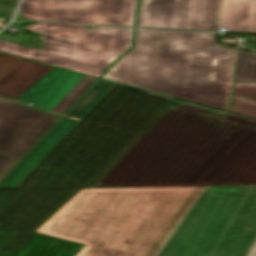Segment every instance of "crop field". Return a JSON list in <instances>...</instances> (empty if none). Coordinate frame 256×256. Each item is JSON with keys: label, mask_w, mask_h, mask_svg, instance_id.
I'll list each match as a JSON object with an SVG mask.
<instances>
[{"label": "crop field", "mask_w": 256, "mask_h": 256, "mask_svg": "<svg viewBox=\"0 0 256 256\" xmlns=\"http://www.w3.org/2000/svg\"><path fill=\"white\" fill-rule=\"evenodd\" d=\"M83 97L70 112L0 183V189L16 188L98 105Z\"/></svg>", "instance_id": "obj_8"}, {"label": "crop field", "mask_w": 256, "mask_h": 256, "mask_svg": "<svg viewBox=\"0 0 256 256\" xmlns=\"http://www.w3.org/2000/svg\"><path fill=\"white\" fill-rule=\"evenodd\" d=\"M233 94L256 100V83H235Z\"/></svg>", "instance_id": "obj_13"}, {"label": "crop field", "mask_w": 256, "mask_h": 256, "mask_svg": "<svg viewBox=\"0 0 256 256\" xmlns=\"http://www.w3.org/2000/svg\"><path fill=\"white\" fill-rule=\"evenodd\" d=\"M221 0H140L137 27L217 30Z\"/></svg>", "instance_id": "obj_6"}, {"label": "crop field", "mask_w": 256, "mask_h": 256, "mask_svg": "<svg viewBox=\"0 0 256 256\" xmlns=\"http://www.w3.org/2000/svg\"><path fill=\"white\" fill-rule=\"evenodd\" d=\"M246 256H256V239L253 242L252 246L250 247L248 253L246 254Z\"/></svg>", "instance_id": "obj_16"}, {"label": "crop field", "mask_w": 256, "mask_h": 256, "mask_svg": "<svg viewBox=\"0 0 256 256\" xmlns=\"http://www.w3.org/2000/svg\"><path fill=\"white\" fill-rule=\"evenodd\" d=\"M234 81H256V54L238 50Z\"/></svg>", "instance_id": "obj_10"}, {"label": "crop field", "mask_w": 256, "mask_h": 256, "mask_svg": "<svg viewBox=\"0 0 256 256\" xmlns=\"http://www.w3.org/2000/svg\"><path fill=\"white\" fill-rule=\"evenodd\" d=\"M40 23L26 29L44 34L43 51L0 40V52L100 78L131 48L134 29Z\"/></svg>", "instance_id": "obj_3"}, {"label": "crop field", "mask_w": 256, "mask_h": 256, "mask_svg": "<svg viewBox=\"0 0 256 256\" xmlns=\"http://www.w3.org/2000/svg\"><path fill=\"white\" fill-rule=\"evenodd\" d=\"M218 28L256 33V0H222Z\"/></svg>", "instance_id": "obj_9"}, {"label": "crop field", "mask_w": 256, "mask_h": 256, "mask_svg": "<svg viewBox=\"0 0 256 256\" xmlns=\"http://www.w3.org/2000/svg\"><path fill=\"white\" fill-rule=\"evenodd\" d=\"M116 86L117 84L100 80L85 97L102 102Z\"/></svg>", "instance_id": "obj_12"}, {"label": "crop field", "mask_w": 256, "mask_h": 256, "mask_svg": "<svg viewBox=\"0 0 256 256\" xmlns=\"http://www.w3.org/2000/svg\"><path fill=\"white\" fill-rule=\"evenodd\" d=\"M137 0H23L28 21L134 27Z\"/></svg>", "instance_id": "obj_5"}, {"label": "crop field", "mask_w": 256, "mask_h": 256, "mask_svg": "<svg viewBox=\"0 0 256 256\" xmlns=\"http://www.w3.org/2000/svg\"><path fill=\"white\" fill-rule=\"evenodd\" d=\"M37 232L86 244L76 256H244L256 186L84 189Z\"/></svg>", "instance_id": "obj_1"}, {"label": "crop field", "mask_w": 256, "mask_h": 256, "mask_svg": "<svg viewBox=\"0 0 256 256\" xmlns=\"http://www.w3.org/2000/svg\"><path fill=\"white\" fill-rule=\"evenodd\" d=\"M58 119L0 99V151L20 159Z\"/></svg>", "instance_id": "obj_7"}, {"label": "crop field", "mask_w": 256, "mask_h": 256, "mask_svg": "<svg viewBox=\"0 0 256 256\" xmlns=\"http://www.w3.org/2000/svg\"><path fill=\"white\" fill-rule=\"evenodd\" d=\"M19 160L0 152V179L18 162Z\"/></svg>", "instance_id": "obj_14"}, {"label": "crop field", "mask_w": 256, "mask_h": 256, "mask_svg": "<svg viewBox=\"0 0 256 256\" xmlns=\"http://www.w3.org/2000/svg\"><path fill=\"white\" fill-rule=\"evenodd\" d=\"M230 112L256 119V101L233 95Z\"/></svg>", "instance_id": "obj_11"}, {"label": "crop field", "mask_w": 256, "mask_h": 256, "mask_svg": "<svg viewBox=\"0 0 256 256\" xmlns=\"http://www.w3.org/2000/svg\"><path fill=\"white\" fill-rule=\"evenodd\" d=\"M233 53L214 34L137 29L103 78L225 111Z\"/></svg>", "instance_id": "obj_2"}, {"label": "crop field", "mask_w": 256, "mask_h": 256, "mask_svg": "<svg viewBox=\"0 0 256 256\" xmlns=\"http://www.w3.org/2000/svg\"><path fill=\"white\" fill-rule=\"evenodd\" d=\"M17 59L18 57L0 53V73L4 71L9 65H11Z\"/></svg>", "instance_id": "obj_15"}, {"label": "crop field", "mask_w": 256, "mask_h": 256, "mask_svg": "<svg viewBox=\"0 0 256 256\" xmlns=\"http://www.w3.org/2000/svg\"><path fill=\"white\" fill-rule=\"evenodd\" d=\"M96 80L19 58L0 74V97L62 116Z\"/></svg>", "instance_id": "obj_4"}]
</instances>
